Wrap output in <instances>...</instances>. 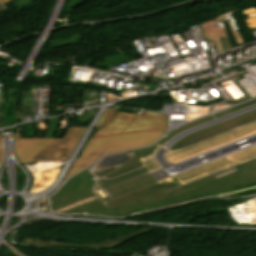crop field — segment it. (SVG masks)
I'll return each instance as SVG.
<instances>
[{
  "label": "crop field",
  "mask_w": 256,
  "mask_h": 256,
  "mask_svg": "<svg viewBox=\"0 0 256 256\" xmlns=\"http://www.w3.org/2000/svg\"><path fill=\"white\" fill-rule=\"evenodd\" d=\"M115 109L116 108L105 110L95 128L100 129L113 116V114L115 113Z\"/></svg>",
  "instance_id": "f4fd0767"
},
{
  "label": "crop field",
  "mask_w": 256,
  "mask_h": 256,
  "mask_svg": "<svg viewBox=\"0 0 256 256\" xmlns=\"http://www.w3.org/2000/svg\"><path fill=\"white\" fill-rule=\"evenodd\" d=\"M166 128H168L166 115L163 114L146 111L142 116L116 113L92 138L138 131L166 130Z\"/></svg>",
  "instance_id": "34b2d1b8"
},
{
  "label": "crop field",
  "mask_w": 256,
  "mask_h": 256,
  "mask_svg": "<svg viewBox=\"0 0 256 256\" xmlns=\"http://www.w3.org/2000/svg\"><path fill=\"white\" fill-rule=\"evenodd\" d=\"M165 132L166 131L138 132L89 139L83 153L81 154L80 158L75 162L73 168L66 176V178L96 162L99 156L102 154L152 144Z\"/></svg>",
  "instance_id": "ac0d7876"
},
{
  "label": "crop field",
  "mask_w": 256,
  "mask_h": 256,
  "mask_svg": "<svg viewBox=\"0 0 256 256\" xmlns=\"http://www.w3.org/2000/svg\"><path fill=\"white\" fill-rule=\"evenodd\" d=\"M152 231H155V230L144 228L137 232L121 235L110 240L95 242V243H85V244L48 242V241H41V240L32 239V238H26L25 243L38 245V246L74 247V248H82V249H110L112 247L119 246L138 235H142Z\"/></svg>",
  "instance_id": "412701ff"
},
{
  "label": "crop field",
  "mask_w": 256,
  "mask_h": 256,
  "mask_svg": "<svg viewBox=\"0 0 256 256\" xmlns=\"http://www.w3.org/2000/svg\"><path fill=\"white\" fill-rule=\"evenodd\" d=\"M86 128L71 127L63 140L21 139L22 127L14 134L16 155L23 164L69 158Z\"/></svg>",
  "instance_id": "8a807250"
},
{
  "label": "crop field",
  "mask_w": 256,
  "mask_h": 256,
  "mask_svg": "<svg viewBox=\"0 0 256 256\" xmlns=\"http://www.w3.org/2000/svg\"><path fill=\"white\" fill-rule=\"evenodd\" d=\"M3 158V150H2V147H1V136H0V162Z\"/></svg>",
  "instance_id": "dd49c442"
},
{
  "label": "crop field",
  "mask_w": 256,
  "mask_h": 256,
  "mask_svg": "<svg viewBox=\"0 0 256 256\" xmlns=\"http://www.w3.org/2000/svg\"><path fill=\"white\" fill-rule=\"evenodd\" d=\"M3 1V0H0V2Z\"/></svg>",
  "instance_id": "d8731c3e"
},
{
  "label": "crop field",
  "mask_w": 256,
  "mask_h": 256,
  "mask_svg": "<svg viewBox=\"0 0 256 256\" xmlns=\"http://www.w3.org/2000/svg\"><path fill=\"white\" fill-rule=\"evenodd\" d=\"M9 1H11V0L3 1V2H1V4L3 5V4H5V3L9 2Z\"/></svg>",
  "instance_id": "e52e79f7"
}]
</instances>
